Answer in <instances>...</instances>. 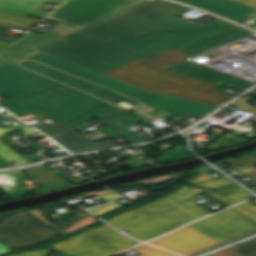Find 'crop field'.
<instances>
[{"label":"crop field","instance_id":"1","mask_svg":"<svg viewBox=\"0 0 256 256\" xmlns=\"http://www.w3.org/2000/svg\"><path fill=\"white\" fill-rule=\"evenodd\" d=\"M188 10L162 0L144 2L78 32L152 56L236 26L220 19L192 24L175 18Z\"/></svg>","mask_w":256,"mask_h":256},{"label":"crop field","instance_id":"2","mask_svg":"<svg viewBox=\"0 0 256 256\" xmlns=\"http://www.w3.org/2000/svg\"><path fill=\"white\" fill-rule=\"evenodd\" d=\"M188 58L191 57L173 48L103 74L148 92L216 106L233 97L215 91L220 86L161 69Z\"/></svg>","mask_w":256,"mask_h":256},{"label":"crop field","instance_id":"3","mask_svg":"<svg viewBox=\"0 0 256 256\" xmlns=\"http://www.w3.org/2000/svg\"><path fill=\"white\" fill-rule=\"evenodd\" d=\"M146 0H69L47 20L58 23L44 35L30 32L0 53V67L39 53L35 49Z\"/></svg>","mask_w":256,"mask_h":256},{"label":"crop field","instance_id":"4","mask_svg":"<svg viewBox=\"0 0 256 256\" xmlns=\"http://www.w3.org/2000/svg\"><path fill=\"white\" fill-rule=\"evenodd\" d=\"M16 115L40 112L55 123L37 128L49 135L89 121L115 106L61 85L6 107Z\"/></svg>","mask_w":256,"mask_h":256},{"label":"crop field","instance_id":"5","mask_svg":"<svg viewBox=\"0 0 256 256\" xmlns=\"http://www.w3.org/2000/svg\"><path fill=\"white\" fill-rule=\"evenodd\" d=\"M37 49L100 73L149 57L78 32Z\"/></svg>","mask_w":256,"mask_h":256},{"label":"crop field","instance_id":"6","mask_svg":"<svg viewBox=\"0 0 256 256\" xmlns=\"http://www.w3.org/2000/svg\"><path fill=\"white\" fill-rule=\"evenodd\" d=\"M29 58L58 68L65 72L71 73L73 75L79 76L94 83L100 84L124 95L132 97L144 103H148L152 106L166 110L179 116L187 113L201 118L216 108V106L148 93L131 85L125 84L103 74L97 73L95 71L89 70L87 68L81 67L79 65L73 64L71 62L65 61L44 52H41Z\"/></svg>","mask_w":256,"mask_h":256},{"label":"crop field","instance_id":"7","mask_svg":"<svg viewBox=\"0 0 256 256\" xmlns=\"http://www.w3.org/2000/svg\"><path fill=\"white\" fill-rule=\"evenodd\" d=\"M63 231L55 224H45L26 209L0 214V243L11 250L57 236Z\"/></svg>","mask_w":256,"mask_h":256},{"label":"crop field","instance_id":"8","mask_svg":"<svg viewBox=\"0 0 256 256\" xmlns=\"http://www.w3.org/2000/svg\"><path fill=\"white\" fill-rule=\"evenodd\" d=\"M108 222L121 231H129V236L142 242L184 225L150 204Z\"/></svg>","mask_w":256,"mask_h":256},{"label":"crop field","instance_id":"9","mask_svg":"<svg viewBox=\"0 0 256 256\" xmlns=\"http://www.w3.org/2000/svg\"><path fill=\"white\" fill-rule=\"evenodd\" d=\"M59 85L15 64L0 68V95L10 100L4 107Z\"/></svg>","mask_w":256,"mask_h":256},{"label":"crop field","instance_id":"10","mask_svg":"<svg viewBox=\"0 0 256 256\" xmlns=\"http://www.w3.org/2000/svg\"><path fill=\"white\" fill-rule=\"evenodd\" d=\"M188 226L219 243L256 229V223L230 209Z\"/></svg>","mask_w":256,"mask_h":256},{"label":"crop field","instance_id":"11","mask_svg":"<svg viewBox=\"0 0 256 256\" xmlns=\"http://www.w3.org/2000/svg\"><path fill=\"white\" fill-rule=\"evenodd\" d=\"M68 240L91 256H104L139 244L119 234L107 224L85 230L83 234Z\"/></svg>","mask_w":256,"mask_h":256},{"label":"crop field","instance_id":"12","mask_svg":"<svg viewBox=\"0 0 256 256\" xmlns=\"http://www.w3.org/2000/svg\"><path fill=\"white\" fill-rule=\"evenodd\" d=\"M209 190L194 189V188H180L176 192L162 197L150 204L186 224L190 221L210 214L209 210L199 206L195 198Z\"/></svg>","mask_w":256,"mask_h":256},{"label":"crop field","instance_id":"13","mask_svg":"<svg viewBox=\"0 0 256 256\" xmlns=\"http://www.w3.org/2000/svg\"><path fill=\"white\" fill-rule=\"evenodd\" d=\"M223 87L233 89L235 91H242L253 83L244 79L232 76L230 74L208 68L202 65L195 64L188 60L175 64L173 66L163 68Z\"/></svg>","mask_w":256,"mask_h":256},{"label":"crop field","instance_id":"14","mask_svg":"<svg viewBox=\"0 0 256 256\" xmlns=\"http://www.w3.org/2000/svg\"><path fill=\"white\" fill-rule=\"evenodd\" d=\"M149 244L186 256L218 243L186 226Z\"/></svg>","mask_w":256,"mask_h":256},{"label":"crop field","instance_id":"15","mask_svg":"<svg viewBox=\"0 0 256 256\" xmlns=\"http://www.w3.org/2000/svg\"><path fill=\"white\" fill-rule=\"evenodd\" d=\"M19 65H22L26 68L33 70V71H36L38 73H41L43 75H46V76L56 79L58 81H61L63 83H66L70 86L78 88L82 91H85V92L92 94L96 97H99L101 99L107 100L111 103H113L112 102L113 100L120 99L128 104H140L139 102H137L135 100L129 99V98L119 95L117 93L111 92L109 90H106L99 86L93 85L86 81L80 80L73 76L67 75L65 73L59 72L57 70H54L52 68H49L47 66H44L42 64H39V63L31 61V60L21 62V63H19ZM113 104H115V103H113ZM115 105H117V104H115ZM117 106H119V105H117ZM119 107H121V106H119ZM121 108H123V107H121Z\"/></svg>","mask_w":256,"mask_h":256},{"label":"crop field","instance_id":"16","mask_svg":"<svg viewBox=\"0 0 256 256\" xmlns=\"http://www.w3.org/2000/svg\"><path fill=\"white\" fill-rule=\"evenodd\" d=\"M255 33L243 27L236 26L176 48L194 57Z\"/></svg>","mask_w":256,"mask_h":256},{"label":"crop field","instance_id":"17","mask_svg":"<svg viewBox=\"0 0 256 256\" xmlns=\"http://www.w3.org/2000/svg\"><path fill=\"white\" fill-rule=\"evenodd\" d=\"M178 2L194 5L236 22H242L255 10V8L231 0H178Z\"/></svg>","mask_w":256,"mask_h":256},{"label":"crop field","instance_id":"18","mask_svg":"<svg viewBox=\"0 0 256 256\" xmlns=\"http://www.w3.org/2000/svg\"><path fill=\"white\" fill-rule=\"evenodd\" d=\"M95 119H97L98 121H100L101 123L112 129L113 131L117 132L132 143L143 142L126 129V127L134 125L140 121L120 108H116Z\"/></svg>","mask_w":256,"mask_h":256},{"label":"crop field","instance_id":"19","mask_svg":"<svg viewBox=\"0 0 256 256\" xmlns=\"http://www.w3.org/2000/svg\"><path fill=\"white\" fill-rule=\"evenodd\" d=\"M49 136L72 153L115 146L109 140L93 144L72 128Z\"/></svg>","mask_w":256,"mask_h":256},{"label":"crop field","instance_id":"20","mask_svg":"<svg viewBox=\"0 0 256 256\" xmlns=\"http://www.w3.org/2000/svg\"><path fill=\"white\" fill-rule=\"evenodd\" d=\"M22 171L44 186L42 189L31 193L32 195L71 186L64 177L44 167L26 168Z\"/></svg>","mask_w":256,"mask_h":256},{"label":"crop field","instance_id":"21","mask_svg":"<svg viewBox=\"0 0 256 256\" xmlns=\"http://www.w3.org/2000/svg\"><path fill=\"white\" fill-rule=\"evenodd\" d=\"M204 194L227 206L239 203L253 196L252 193L238 184L210 191Z\"/></svg>","mask_w":256,"mask_h":256},{"label":"crop field","instance_id":"22","mask_svg":"<svg viewBox=\"0 0 256 256\" xmlns=\"http://www.w3.org/2000/svg\"><path fill=\"white\" fill-rule=\"evenodd\" d=\"M65 0H0V9L28 16L42 2L59 5Z\"/></svg>","mask_w":256,"mask_h":256},{"label":"crop field","instance_id":"23","mask_svg":"<svg viewBox=\"0 0 256 256\" xmlns=\"http://www.w3.org/2000/svg\"><path fill=\"white\" fill-rule=\"evenodd\" d=\"M40 21H41L40 19L26 17V16L0 10L1 26L23 29V30H30Z\"/></svg>","mask_w":256,"mask_h":256},{"label":"crop field","instance_id":"24","mask_svg":"<svg viewBox=\"0 0 256 256\" xmlns=\"http://www.w3.org/2000/svg\"><path fill=\"white\" fill-rule=\"evenodd\" d=\"M97 219L82 210L81 208L75 209L74 217L71 218V222L58 224L66 232L71 233L73 230L84 228L95 224Z\"/></svg>","mask_w":256,"mask_h":256},{"label":"crop field","instance_id":"25","mask_svg":"<svg viewBox=\"0 0 256 256\" xmlns=\"http://www.w3.org/2000/svg\"><path fill=\"white\" fill-rule=\"evenodd\" d=\"M256 252V239L217 252L210 256H246Z\"/></svg>","mask_w":256,"mask_h":256},{"label":"crop field","instance_id":"26","mask_svg":"<svg viewBox=\"0 0 256 256\" xmlns=\"http://www.w3.org/2000/svg\"><path fill=\"white\" fill-rule=\"evenodd\" d=\"M190 183L201 185L211 190L235 184V182L231 181L226 177L214 180L207 174L197 176L192 181H190Z\"/></svg>","mask_w":256,"mask_h":256},{"label":"crop field","instance_id":"27","mask_svg":"<svg viewBox=\"0 0 256 256\" xmlns=\"http://www.w3.org/2000/svg\"><path fill=\"white\" fill-rule=\"evenodd\" d=\"M185 146L176 147L168 152L163 153L162 156L156 158L161 164L173 162L177 160L191 158Z\"/></svg>","mask_w":256,"mask_h":256},{"label":"crop field","instance_id":"28","mask_svg":"<svg viewBox=\"0 0 256 256\" xmlns=\"http://www.w3.org/2000/svg\"><path fill=\"white\" fill-rule=\"evenodd\" d=\"M53 250L62 256H89L87 253L73 245L67 240L59 242L52 246Z\"/></svg>","mask_w":256,"mask_h":256},{"label":"crop field","instance_id":"29","mask_svg":"<svg viewBox=\"0 0 256 256\" xmlns=\"http://www.w3.org/2000/svg\"><path fill=\"white\" fill-rule=\"evenodd\" d=\"M228 164L251 178V182L256 184V168L250 164L247 160L244 158L242 159H235V160H228L226 161Z\"/></svg>","mask_w":256,"mask_h":256},{"label":"crop field","instance_id":"30","mask_svg":"<svg viewBox=\"0 0 256 256\" xmlns=\"http://www.w3.org/2000/svg\"><path fill=\"white\" fill-rule=\"evenodd\" d=\"M212 130H215V131L220 132V133L217 134L216 136H219L220 134H222V133L224 132V131H222V130L216 128V127H214ZM219 137H221V136H219ZM247 141H249V140H246V139H244V138H241V137H238V136H236V135H233V134L229 133V134H227V135L221 137L219 140L215 141V144H216L217 142H221V143H222V144H221L222 146H218V145L216 144V146H217L218 148H213V147H211L212 145H210V146H208V147H209L210 149H212V150H217V149H222V148L230 147V146H233V145L245 143V142H247Z\"/></svg>","mask_w":256,"mask_h":256},{"label":"crop field","instance_id":"31","mask_svg":"<svg viewBox=\"0 0 256 256\" xmlns=\"http://www.w3.org/2000/svg\"><path fill=\"white\" fill-rule=\"evenodd\" d=\"M0 156L8 162L14 160L16 162H20L23 165L29 163L24 157H22L16 151L5 146L1 142H0Z\"/></svg>","mask_w":256,"mask_h":256},{"label":"crop field","instance_id":"32","mask_svg":"<svg viewBox=\"0 0 256 256\" xmlns=\"http://www.w3.org/2000/svg\"><path fill=\"white\" fill-rule=\"evenodd\" d=\"M231 209L256 222V206L251 202L247 201Z\"/></svg>","mask_w":256,"mask_h":256},{"label":"crop field","instance_id":"33","mask_svg":"<svg viewBox=\"0 0 256 256\" xmlns=\"http://www.w3.org/2000/svg\"><path fill=\"white\" fill-rule=\"evenodd\" d=\"M132 250L142 254L141 256H178L148 245H142Z\"/></svg>","mask_w":256,"mask_h":256},{"label":"crop field","instance_id":"34","mask_svg":"<svg viewBox=\"0 0 256 256\" xmlns=\"http://www.w3.org/2000/svg\"><path fill=\"white\" fill-rule=\"evenodd\" d=\"M94 195L99 196L106 202L113 200L115 198L123 197L122 195L118 194L117 191H115L113 189H108V190H102L99 192L83 195V196H80L79 198L83 199V198H87V197L94 196Z\"/></svg>","mask_w":256,"mask_h":256},{"label":"crop field","instance_id":"35","mask_svg":"<svg viewBox=\"0 0 256 256\" xmlns=\"http://www.w3.org/2000/svg\"><path fill=\"white\" fill-rule=\"evenodd\" d=\"M120 208H123V206L121 204L117 203V202H114V203H111V204H108V205H105V206H102V207L95 208V209L90 210V211L93 212L94 214L98 215V216H101V215H104L106 213L115 211V210L120 209Z\"/></svg>","mask_w":256,"mask_h":256},{"label":"crop field","instance_id":"36","mask_svg":"<svg viewBox=\"0 0 256 256\" xmlns=\"http://www.w3.org/2000/svg\"><path fill=\"white\" fill-rule=\"evenodd\" d=\"M250 99L251 98L245 96V97L239 99L238 101L234 102L230 106H233L235 108H238V109H241V110H245V111H249V112H252V113L256 114V107L245 104Z\"/></svg>","mask_w":256,"mask_h":256},{"label":"crop field","instance_id":"37","mask_svg":"<svg viewBox=\"0 0 256 256\" xmlns=\"http://www.w3.org/2000/svg\"><path fill=\"white\" fill-rule=\"evenodd\" d=\"M146 108H144V109H141V111H143V112H145V113H147V114H149V115H151V116H153V117H163V118H165V117H167L169 114L168 113H166L165 111H163V110H159V109H156V108H154V107H152V106H149V105H144ZM171 114V113H170Z\"/></svg>","mask_w":256,"mask_h":256},{"label":"crop field","instance_id":"38","mask_svg":"<svg viewBox=\"0 0 256 256\" xmlns=\"http://www.w3.org/2000/svg\"><path fill=\"white\" fill-rule=\"evenodd\" d=\"M5 29H6V27H1L0 26V41L14 43V42H16L17 40H19L21 38L19 36H14V35L1 33Z\"/></svg>","mask_w":256,"mask_h":256},{"label":"crop field","instance_id":"39","mask_svg":"<svg viewBox=\"0 0 256 256\" xmlns=\"http://www.w3.org/2000/svg\"><path fill=\"white\" fill-rule=\"evenodd\" d=\"M49 253H50V249H47L42 251L26 252L20 255H11V256H48Z\"/></svg>","mask_w":256,"mask_h":256},{"label":"crop field","instance_id":"40","mask_svg":"<svg viewBox=\"0 0 256 256\" xmlns=\"http://www.w3.org/2000/svg\"><path fill=\"white\" fill-rule=\"evenodd\" d=\"M124 162L133 168L146 166V164H144L143 162H141L140 160H138L136 158L125 160Z\"/></svg>","mask_w":256,"mask_h":256},{"label":"crop field","instance_id":"41","mask_svg":"<svg viewBox=\"0 0 256 256\" xmlns=\"http://www.w3.org/2000/svg\"><path fill=\"white\" fill-rule=\"evenodd\" d=\"M50 12L37 8L30 16L44 19Z\"/></svg>","mask_w":256,"mask_h":256},{"label":"crop field","instance_id":"42","mask_svg":"<svg viewBox=\"0 0 256 256\" xmlns=\"http://www.w3.org/2000/svg\"><path fill=\"white\" fill-rule=\"evenodd\" d=\"M17 129H19L20 131H22L23 133L29 135L32 133H36L35 131H33L32 129H30L29 127H27L26 125L22 124L19 126H15Z\"/></svg>","mask_w":256,"mask_h":256},{"label":"crop field","instance_id":"43","mask_svg":"<svg viewBox=\"0 0 256 256\" xmlns=\"http://www.w3.org/2000/svg\"><path fill=\"white\" fill-rule=\"evenodd\" d=\"M15 131H18V130L14 127L6 128V129H3V128L0 127V137L5 136V135H7L9 133H12V132H15Z\"/></svg>","mask_w":256,"mask_h":256},{"label":"crop field","instance_id":"44","mask_svg":"<svg viewBox=\"0 0 256 256\" xmlns=\"http://www.w3.org/2000/svg\"><path fill=\"white\" fill-rule=\"evenodd\" d=\"M256 8V0H234Z\"/></svg>","mask_w":256,"mask_h":256},{"label":"crop field","instance_id":"45","mask_svg":"<svg viewBox=\"0 0 256 256\" xmlns=\"http://www.w3.org/2000/svg\"><path fill=\"white\" fill-rule=\"evenodd\" d=\"M245 159H247L253 165H256V154L249 155V156L245 157Z\"/></svg>","mask_w":256,"mask_h":256},{"label":"crop field","instance_id":"46","mask_svg":"<svg viewBox=\"0 0 256 256\" xmlns=\"http://www.w3.org/2000/svg\"><path fill=\"white\" fill-rule=\"evenodd\" d=\"M211 170H213V169L208 166H205V167L199 168L198 172L195 174H199V173H203V172H207V171H211Z\"/></svg>","mask_w":256,"mask_h":256},{"label":"crop field","instance_id":"47","mask_svg":"<svg viewBox=\"0 0 256 256\" xmlns=\"http://www.w3.org/2000/svg\"><path fill=\"white\" fill-rule=\"evenodd\" d=\"M11 165L0 157V168L10 167Z\"/></svg>","mask_w":256,"mask_h":256},{"label":"crop field","instance_id":"48","mask_svg":"<svg viewBox=\"0 0 256 256\" xmlns=\"http://www.w3.org/2000/svg\"><path fill=\"white\" fill-rule=\"evenodd\" d=\"M10 252H11V250H9L8 248H6L2 244H0V254L1 253H10Z\"/></svg>","mask_w":256,"mask_h":256},{"label":"crop field","instance_id":"49","mask_svg":"<svg viewBox=\"0 0 256 256\" xmlns=\"http://www.w3.org/2000/svg\"><path fill=\"white\" fill-rule=\"evenodd\" d=\"M8 46H10V44L0 42V52L3 51L4 49H6Z\"/></svg>","mask_w":256,"mask_h":256},{"label":"crop field","instance_id":"50","mask_svg":"<svg viewBox=\"0 0 256 256\" xmlns=\"http://www.w3.org/2000/svg\"><path fill=\"white\" fill-rule=\"evenodd\" d=\"M248 18H251L253 20H256V10L248 16Z\"/></svg>","mask_w":256,"mask_h":256},{"label":"crop field","instance_id":"51","mask_svg":"<svg viewBox=\"0 0 256 256\" xmlns=\"http://www.w3.org/2000/svg\"><path fill=\"white\" fill-rule=\"evenodd\" d=\"M249 94L256 96V90L250 92Z\"/></svg>","mask_w":256,"mask_h":256},{"label":"crop field","instance_id":"52","mask_svg":"<svg viewBox=\"0 0 256 256\" xmlns=\"http://www.w3.org/2000/svg\"><path fill=\"white\" fill-rule=\"evenodd\" d=\"M208 132H210V133H212V134H217L218 132H215V131H212V130H210V131H208Z\"/></svg>","mask_w":256,"mask_h":256},{"label":"crop field","instance_id":"53","mask_svg":"<svg viewBox=\"0 0 256 256\" xmlns=\"http://www.w3.org/2000/svg\"><path fill=\"white\" fill-rule=\"evenodd\" d=\"M249 256H256V253H254V254H251V255H249Z\"/></svg>","mask_w":256,"mask_h":256},{"label":"crop field","instance_id":"54","mask_svg":"<svg viewBox=\"0 0 256 256\" xmlns=\"http://www.w3.org/2000/svg\"><path fill=\"white\" fill-rule=\"evenodd\" d=\"M254 29H256V28H254Z\"/></svg>","mask_w":256,"mask_h":256}]
</instances>
